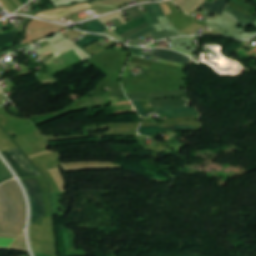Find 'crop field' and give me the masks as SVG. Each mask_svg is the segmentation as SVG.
I'll list each match as a JSON object with an SVG mask.
<instances>
[{"label":"crop field","mask_w":256,"mask_h":256,"mask_svg":"<svg viewBox=\"0 0 256 256\" xmlns=\"http://www.w3.org/2000/svg\"><path fill=\"white\" fill-rule=\"evenodd\" d=\"M14 178L10 171L5 167V165L0 160V184Z\"/></svg>","instance_id":"cbeb9de0"},{"label":"crop field","mask_w":256,"mask_h":256,"mask_svg":"<svg viewBox=\"0 0 256 256\" xmlns=\"http://www.w3.org/2000/svg\"><path fill=\"white\" fill-rule=\"evenodd\" d=\"M160 5H161V7L163 8V10H164L166 16L169 15L170 13H172L170 7H169L167 4L162 3V4H160Z\"/></svg>","instance_id":"214f88e0"},{"label":"crop field","mask_w":256,"mask_h":256,"mask_svg":"<svg viewBox=\"0 0 256 256\" xmlns=\"http://www.w3.org/2000/svg\"><path fill=\"white\" fill-rule=\"evenodd\" d=\"M133 104L136 106V108H137V110H138L140 116L146 117L145 112L143 111V109H142V107H141L139 101H134Z\"/></svg>","instance_id":"bc2a9ffb"},{"label":"crop field","mask_w":256,"mask_h":256,"mask_svg":"<svg viewBox=\"0 0 256 256\" xmlns=\"http://www.w3.org/2000/svg\"><path fill=\"white\" fill-rule=\"evenodd\" d=\"M103 37L104 36L90 35V36H88V37H86L84 39H81V40H79V41H77L75 43L78 46H80L81 48H83V47H85V46H87V45H89V44H91V43H93V42L103 38Z\"/></svg>","instance_id":"5142ce71"},{"label":"crop field","mask_w":256,"mask_h":256,"mask_svg":"<svg viewBox=\"0 0 256 256\" xmlns=\"http://www.w3.org/2000/svg\"><path fill=\"white\" fill-rule=\"evenodd\" d=\"M23 5L28 2V0H19Z\"/></svg>","instance_id":"92a150f3"},{"label":"crop field","mask_w":256,"mask_h":256,"mask_svg":"<svg viewBox=\"0 0 256 256\" xmlns=\"http://www.w3.org/2000/svg\"><path fill=\"white\" fill-rule=\"evenodd\" d=\"M14 239L0 238V247L9 248V246L14 242Z\"/></svg>","instance_id":"4a817a6b"},{"label":"crop field","mask_w":256,"mask_h":256,"mask_svg":"<svg viewBox=\"0 0 256 256\" xmlns=\"http://www.w3.org/2000/svg\"><path fill=\"white\" fill-rule=\"evenodd\" d=\"M167 130H195L193 126H174L170 128L159 129V127H140L139 133L145 136H151Z\"/></svg>","instance_id":"5a996713"},{"label":"crop field","mask_w":256,"mask_h":256,"mask_svg":"<svg viewBox=\"0 0 256 256\" xmlns=\"http://www.w3.org/2000/svg\"><path fill=\"white\" fill-rule=\"evenodd\" d=\"M128 14L132 18V20L142 17L141 13L138 11L137 8L127 9Z\"/></svg>","instance_id":"d9b57169"},{"label":"crop field","mask_w":256,"mask_h":256,"mask_svg":"<svg viewBox=\"0 0 256 256\" xmlns=\"http://www.w3.org/2000/svg\"><path fill=\"white\" fill-rule=\"evenodd\" d=\"M153 107L186 104L188 100L181 98L150 101ZM156 113L168 114L169 118L199 115L196 107L188 108L186 105L154 108Z\"/></svg>","instance_id":"34b2d1b8"},{"label":"crop field","mask_w":256,"mask_h":256,"mask_svg":"<svg viewBox=\"0 0 256 256\" xmlns=\"http://www.w3.org/2000/svg\"><path fill=\"white\" fill-rule=\"evenodd\" d=\"M22 183L24 184L26 191L30 197L31 207H32V222H38L39 219L45 215V208L42 205L44 203L43 196H42L40 187L38 185V182L36 179H32V180H24L22 181ZM33 197L38 198L43 203L40 204L41 202L36 198L35 200L40 203L35 202Z\"/></svg>","instance_id":"f4fd0767"},{"label":"crop field","mask_w":256,"mask_h":256,"mask_svg":"<svg viewBox=\"0 0 256 256\" xmlns=\"http://www.w3.org/2000/svg\"><path fill=\"white\" fill-rule=\"evenodd\" d=\"M130 50H131V52H136V53L141 54L139 49L130 48ZM143 55L154 57V58H159V59L176 61V62L185 63V64L194 63L189 57H187L183 54H180L178 52L169 51V50H164V49H154L153 54H143Z\"/></svg>","instance_id":"dd49c442"},{"label":"crop field","mask_w":256,"mask_h":256,"mask_svg":"<svg viewBox=\"0 0 256 256\" xmlns=\"http://www.w3.org/2000/svg\"><path fill=\"white\" fill-rule=\"evenodd\" d=\"M26 220L23 194L11 180L0 186V233L20 235Z\"/></svg>","instance_id":"8a807250"},{"label":"crop field","mask_w":256,"mask_h":256,"mask_svg":"<svg viewBox=\"0 0 256 256\" xmlns=\"http://www.w3.org/2000/svg\"><path fill=\"white\" fill-rule=\"evenodd\" d=\"M2 155L6 158L19 177L40 175L18 148L5 151Z\"/></svg>","instance_id":"412701ff"},{"label":"crop field","mask_w":256,"mask_h":256,"mask_svg":"<svg viewBox=\"0 0 256 256\" xmlns=\"http://www.w3.org/2000/svg\"><path fill=\"white\" fill-rule=\"evenodd\" d=\"M226 12L234 14L239 21H241V22H243L245 24L252 25L256 21V17L251 19V18H249V17H247V16H245V15H243V14H241V13H239V12L233 10V9H230V8H227Z\"/></svg>","instance_id":"22f410ed"},{"label":"crop field","mask_w":256,"mask_h":256,"mask_svg":"<svg viewBox=\"0 0 256 256\" xmlns=\"http://www.w3.org/2000/svg\"><path fill=\"white\" fill-rule=\"evenodd\" d=\"M146 23L144 17L134 21V22H131L129 24H126V25H123V26H120V27H117L115 29H113L115 32H117L119 35L133 29V28H136L142 24Z\"/></svg>","instance_id":"d1516ede"},{"label":"crop field","mask_w":256,"mask_h":256,"mask_svg":"<svg viewBox=\"0 0 256 256\" xmlns=\"http://www.w3.org/2000/svg\"><path fill=\"white\" fill-rule=\"evenodd\" d=\"M184 95H185V90L129 94V95H126V96L131 100H138V99L152 100V99H159V98L182 97Z\"/></svg>","instance_id":"e52e79f7"},{"label":"crop field","mask_w":256,"mask_h":256,"mask_svg":"<svg viewBox=\"0 0 256 256\" xmlns=\"http://www.w3.org/2000/svg\"><path fill=\"white\" fill-rule=\"evenodd\" d=\"M49 54H51V51H49V52H47V53L42 54V57H44V56H46V55H49Z\"/></svg>","instance_id":"dafd665d"},{"label":"crop field","mask_w":256,"mask_h":256,"mask_svg":"<svg viewBox=\"0 0 256 256\" xmlns=\"http://www.w3.org/2000/svg\"><path fill=\"white\" fill-rule=\"evenodd\" d=\"M205 1L206 0H174L173 2L177 4L187 14H192Z\"/></svg>","instance_id":"d8731c3e"},{"label":"crop field","mask_w":256,"mask_h":256,"mask_svg":"<svg viewBox=\"0 0 256 256\" xmlns=\"http://www.w3.org/2000/svg\"><path fill=\"white\" fill-rule=\"evenodd\" d=\"M144 6H145L147 12H143L142 15L145 17V19L149 23L150 27L125 39V41L130 39L131 42H133L148 33L152 36V38L155 41L163 39V38H167V37L176 36L175 32H165V31H162L160 33L157 32V30L154 26L156 24H160V21L158 20L157 17L165 16L159 3L147 4Z\"/></svg>","instance_id":"ac0d7876"},{"label":"crop field","mask_w":256,"mask_h":256,"mask_svg":"<svg viewBox=\"0 0 256 256\" xmlns=\"http://www.w3.org/2000/svg\"><path fill=\"white\" fill-rule=\"evenodd\" d=\"M227 5V0H215L212 3L210 2H206L204 5H202L200 8L208 11L209 13L207 14V16L213 14V13H217L219 15H221L225 9Z\"/></svg>","instance_id":"3316defc"},{"label":"crop field","mask_w":256,"mask_h":256,"mask_svg":"<svg viewBox=\"0 0 256 256\" xmlns=\"http://www.w3.org/2000/svg\"><path fill=\"white\" fill-rule=\"evenodd\" d=\"M17 35L11 29L0 33V50L12 46L16 42Z\"/></svg>","instance_id":"28ad6ade"},{"label":"crop field","mask_w":256,"mask_h":256,"mask_svg":"<svg viewBox=\"0 0 256 256\" xmlns=\"http://www.w3.org/2000/svg\"><path fill=\"white\" fill-rule=\"evenodd\" d=\"M147 27H149V26H148V24L146 23V24H144V25H142V26H140V27H138V28H136V29H134V30H131V31H129V32H127V33L121 35V37L124 39V38H126V37H128V36H130V35H132V34H134V33H136V32H138V31H140V30H142V29L147 28Z\"/></svg>","instance_id":"733c2abd"}]
</instances>
